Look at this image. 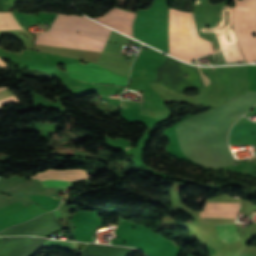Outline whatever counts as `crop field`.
I'll return each instance as SVG.
<instances>
[{"instance_id": "8a807250", "label": "crop field", "mask_w": 256, "mask_h": 256, "mask_svg": "<svg viewBox=\"0 0 256 256\" xmlns=\"http://www.w3.org/2000/svg\"><path fill=\"white\" fill-rule=\"evenodd\" d=\"M57 19L93 22L77 15L59 14ZM62 20H56L52 28L102 33H108V30H110L102 25L100 26L108 30L98 26L99 24L96 25L97 23L94 24L95 22L86 23ZM56 29H51L49 32L38 35L36 43L100 54L111 31L108 34H102Z\"/></svg>"}, {"instance_id": "ac0d7876", "label": "crop field", "mask_w": 256, "mask_h": 256, "mask_svg": "<svg viewBox=\"0 0 256 256\" xmlns=\"http://www.w3.org/2000/svg\"><path fill=\"white\" fill-rule=\"evenodd\" d=\"M234 31L246 62L256 61V0H234Z\"/></svg>"}, {"instance_id": "34b2d1b8", "label": "crop field", "mask_w": 256, "mask_h": 256, "mask_svg": "<svg viewBox=\"0 0 256 256\" xmlns=\"http://www.w3.org/2000/svg\"><path fill=\"white\" fill-rule=\"evenodd\" d=\"M67 76L88 81L126 86L127 77L117 75L95 63L65 65Z\"/></svg>"}, {"instance_id": "412701ff", "label": "crop field", "mask_w": 256, "mask_h": 256, "mask_svg": "<svg viewBox=\"0 0 256 256\" xmlns=\"http://www.w3.org/2000/svg\"><path fill=\"white\" fill-rule=\"evenodd\" d=\"M39 179L43 187L72 188L73 183L93 180L84 170H48L30 176Z\"/></svg>"}, {"instance_id": "f4fd0767", "label": "crop field", "mask_w": 256, "mask_h": 256, "mask_svg": "<svg viewBox=\"0 0 256 256\" xmlns=\"http://www.w3.org/2000/svg\"><path fill=\"white\" fill-rule=\"evenodd\" d=\"M217 232L219 238L224 242H234L242 240L236 231L234 224L217 225Z\"/></svg>"}, {"instance_id": "dd49c442", "label": "crop field", "mask_w": 256, "mask_h": 256, "mask_svg": "<svg viewBox=\"0 0 256 256\" xmlns=\"http://www.w3.org/2000/svg\"><path fill=\"white\" fill-rule=\"evenodd\" d=\"M42 247H56L60 249L77 250L75 242H63L48 239Z\"/></svg>"}, {"instance_id": "e52e79f7", "label": "crop field", "mask_w": 256, "mask_h": 256, "mask_svg": "<svg viewBox=\"0 0 256 256\" xmlns=\"http://www.w3.org/2000/svg\"><path fill=\"white\" fill-rule=\"evenodd\" d=\"M0 66H8L5 62H3L2 60H0Z\"/></svg>"}, {"instance_id": "d8731c3e", "label": "crop field", "mask_w": 256, "mask_h": 256, "mask_svg": "<svg viewBox=\"0 0 256 256\" xmlns=\"http://www.w3.org/2000/svg\"><path fill=\"white\" fill-rule=\"evenodd\" d=\"M11 14V13H10ZM12 15V14H11ZM12 17L14 18V16L12 15ZM15 19V18H14ZM16 20V19H15ZM17 21V20H16ZM17 23L21 26V24L17 21ZM22 29H24L22 26H21ZM25 30V29H24Z\"/></svg>"}, {"instance_id": "5a996713", "label": "crop field", "mask_w": 256, "mask_h": 256, "mask_svg": "<svg viewBox=\"0 0 256 256\" xmlns=\"http://www.w3.org/2000/svg\"><path fill=\"white\" fill-rule=\"evenodd\" d=\"M112 98H114V97H112ZM118 99H120V98H118Z\"/></svg>"}, {"instance_id": "3316defc", "label": "crop field", "mask_w": 256, "mask_h": 256, "mask_svg": "<svg viewBox=\"0 0 256 256\" xmlns=\"http://www.w3.org/2000/svg\"><path fill=\"white\" fill-rule=\"evenodd\" d=\"M237 215H238V213H237ZM237 218V217H236Z\"/></svg>"}]
</instances>
